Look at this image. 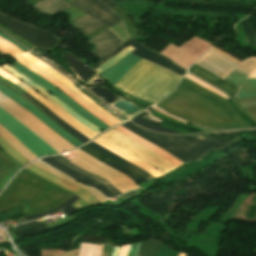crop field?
<instances>
[{
  "mask_svg": "<svg viewBox=\"0 0 256 256\" xmlns=\"http://www.w3.org/2000/svg\"><path fill=\"white\" fill-rule=\"evenodd\" d=\"M140 60L141 58H138L130 53L109 70L99 75L115 85V83Z\"/></svg>",
  "mask_w": 256,
  "mask_h": 256,
  "instance_id": "crop-field-17",
  "label": "crop field"
},
{
  "mask_svg": "<svg viewBox=\"0 0 256 256\" xmlns=\"http://www.w3.org/2000/svg\"><path fill=\"white\" fill-rule=\"evenodd\" d=\"M54 158L56 160H58L59 162H61L62 164H64V165H66V166H68V167H70V168H72V169H74V170H76V171H78V172H80V173H82V174H84V175H86V176H88V177H90V178L100 182L101 184L106 186L110 190V192L112 194H114V195L120 194V192L118 190H116L111 184H109L108 182L104 181L100 177H98V176H96L94 174H91V173H89V172H87V171H85V170H83V169H81V168L71 164L68 160H66V159H64V158H62L60 156H56Z\"/></svg>",
  "mask_w": 256,
  "mask_h": 256,
  "instance_id": "crop-field-31",
  "label": "crop field"
},
{
  "mask_svg": "<svg viewBox=\"0 0 256 256\" xmlns=\"http://www.w3.org/2000/svg\"><path fill=\"white\" fill-rule=\"evenodd\" d=\"M233 101L242 113L256 121V98L235 99Z\"/></svg>",
  "mask_w": 256,
  "mask_h": 256,
  "instance_id": "crop-field-29",
  "label": "crop field"
},
{
  "mask_svg": "<svg viewBox=\"0 0 256 256\" xmlns=\"http://www.w3.org/2000/svg\"><path fill=\"white\" fill-rule=\"evenodd\" d=\"M72 195L23 169L0 195V212L21 204L23 214L32 215L54 208Z\"/></svg>",
  "mask_w": 256,
  "mask_h": 256,
  "instance_id": "crop-field-2",
  "label": "crop field"
},
{
  "mask_svg": "<svg viewBox=\"0 0 256 256\" xmlns=\"http://www.w3.org/2000/svg\"><path fill=\"white\" fill-rule=\"evenodd\" d=\"M131 123V122H130ZM136 127V126H135ZM138 128V127H137ZM140 129V128H139ZM142 130V129H141ZM144 131V130H143ZM147 132V131H146ZM148 133H150V132H148ZM151 134H154V133H151ZM158 135V134H157Z\"/></svg>",
  "mask_w": 256,
  "mask_h": 256,
  "instance_id": "crop-field-54",
  "label": "crop field"
},
{
  "mask_svg": "<svg viewBox=\"0 0 256 256\" xmlns=\"http://www.w3.org/2000/svg\"><path fill=\"white\" fill-rule=\"evenodd\" d=\"M79 197H77V196H72L70 199H68L65 203H63V204H61L60 206H58V207H56V208H54V209H52V210H50V211H48V212H45V213H42V214H39V215H36V216H28V217H25V219H27V220H30V219H34V218H39V217H42V216H44V215H46V214H49V213H52V212H54V211H56V210H59L60 208H62L63 206L65 207V208H63V209H61V210H63L64 212H66L67 214H72V213H74L75 211H77L78 209H76V208H74V207H72V206H70L75 200H77ZM69 206H70V208H69ZM69 208V209H68Z\"/></svg>",
  "mask_w": 256,
  "mask_h": 256,
  "instance_id": "crop-field-36",
  "label": "crop field"
},
{
  "mask_svg": "<svg viewBox=\"0 0 256 256\" xmlns=\"http://www.w3.org/2000/svg\"><path fill=\"white\" fill-rule=\"evenodd\" d=\"M104 140L114 144L115 146L119 147L120 149L124 150L125 152L131 154L132 156L136 157L137 159L157 168L163 174L176 168L167 160L159 157L158 155L148 151L147 149L143 148L142 146L138 145L134 141L130 140L126 136L122 135L121 133L110 130L104 135L100 136Z\"/></svg>",
  "mask_w": 256,
  "mask_h": 256,
  "instance_id": "crop-field-7",
  "label": "crop field"
},
{
  "mask_svg": "<svg viewBox=\"0 0 256 256\" xmlns=\"http://www.w3.org/2000/svg\"><path fill=\"white\" fill-rule=\"evenodd\" d=\"M239 132H235V133H224V134H219V135H227V136H231V137H236L238 136Z\"/></svg>",
  "mask_w": 256,
  "mask_h": 256,
  "instance_id": "crop-field-51",
  "label": "crop field"
},
{
  "mask_svg": "<svg viewBox=\"0 0 256 256\" xmlns=\"http://www.w3.org/2000/svg\"><path fill=\"white\" fill-rule=\"evenodd\" d=\"M0 134L23 156H25L30 161L36 159L37 157L31 153L22 143H20L13 135L9 134L0 126Z\"/></svg>",
  "mask_w": 256,
  "mask_h": 256,
  "instance_id": "crop-field-30",
  "label": "crop field"
},
{
  "mask_svg": "<svg viewBox=\"0 0 256 256\" xmlns=\"http://www.w3.org/2000/svg\"><path fill=\"white\" fill-rule=\"evenodd\" d=\"M0 50L10 56H14L15 58H13V59L17 60L18 62L23 64L25 67L30 69L31 71L35 72L39 76L48 80L50 83H52L54 86H56L60 91H63L64 93H66L74 101H76L78 104H80L86 110H88L90 113H92L98 119H100L102 122L107 124L109 127L117 124L115 121L111 120L110 118L106 117L105 115L101 114L100 112L96 111L94 108L89 106L86 102H84L82 99H80L78 96H76L73 92H71L65 86L61 85L56 80L51 78L49 75H47L43 71L39 70L38 68L34 67L29 62L25 61L22 57H20L18 55L19 53H22V52L18 48H16L14 45H12L11 43H9L8 41H6L2 38H0Z\"/></svg>",
  "mask_w": 256,
  "mask_h": 256,
  "instance_id": "crop-field-9",
  "label": "crop field"
},
{
  "mask_svg": "<svg viewBox=\"0 0 256 256\" xmlns=\"http://www.w3.org/2000/svg\"><path fill=\"white\" fill-rule=\"evenodd\" d=\"M43 161H45L46 163H48L49 165H51L52 167H54L55 169L79 180L82 181L88 185H91L93 187H95L96 189H98L100 192H102L103 194H105L108 198L114 196L112 195L107 188L103 187L101 184L65 167L64 165H62L61 163H59L58 161H56L55 159H53L52 157H45L43 159H41Z\"/></svg>",
  "mask_w": 256,
  "mask_h": 256,
  "instance_id": "crop-field-19",
  "label": "crop field"
},
{
  "mask_svg": "<svg viewBox=\"0 0 256 256\" xmlns=\"http://www.w3.org/2000/svg\"><path fill=\"white\" fill-rule=\"evenodd\" d=\"M128 130L134 132L143 139L153 143L154 145L164 149L182 162H192L200 160L211 149L222 150L230 143L238 140H231L225 137H165L151 135L140 131L128 122L121 124Z\"/></svg>",
  "mask_w": 256,
  "mask_h": 256,
  "instance_id": "crop-field-4",
  "label": "crop field"
},
{
  "mask_svg": "<svg viewBox=\"0 0 256 256\" xmlns=\"http://www.w3.org/2000/svg\"><path fill=\"white\" fill-rule=\"evenodd\" d=\"M112 168H114L115 170L125 174L126 176H128L129 178H131L134 182L138 183V182H143V181H146L141 175L139 174H136L122 166H120L119 164L111 161V160H106L104 162H102Z\"/></svg>",
  "mask_w": 256,
  "mask_h": 256,
  "instance_id": "crop-field-35",
  "label": "crop field"
},
{
  "mask_svg": "<svg viewBox=\"0 0 256 256\" xmlns=\"http://www.w3.org/2000/svg\"><path fill=\"white\" fill-rule=\"evenodd\" d=\"M11 66L27 76L29 79L55 95L57 98H59L61 101H63L65 104H67L69 107H71L74 111H76L78 114H80L83 118H85L87 121L91 122L95 126L105 130L109 127H107L105 124L100 122L98 119L93 117L91 114L83 110L81 107L76 105L74 102H72L70 99H68L64 94H62L60 91H58L56 88H54L50 83H48L45 79L37 76L36 74L28 71L23 66H21L19 63L15 62L11 64Z\"/></svg>",
  "mask_w": 256,
  "mask_h": 256,
  "instance_id": "crop-field-10",
  "label": "crop field"
},
{
  "mask_svg": "<svg viewBox=\"0 0 256 256\" xmlns=\"http://www.w3.org/2000/svg\"><path fill=\"white\" fill-rule=\"evenodd\" d=\"M87 145L90 146L91 148L95 149L99 153L103 154L104 156L108 157L109 159H111V160L131 169V170H134V171L140 173L146 180L154 179L153 176H151L149 173H147V172L141 170L140 168H138L137 166L121 159L120 157L114 155L113 153L107 151L106 149L100 147L99 145H97L93 142H91Z\"/></svg>",
  "mask_w": 256,
  "mask_h": 256,
  "instance_id": "crop-field-26",
  "label": "crop field"
},
{
  "mask_svg": "<svg viewBox=\"0 0 256 256\" xmlns=\"http://www.w3.org/2000/svg\"><path fill=\"white\" fill-rule=\"evenodd\" d=\"M78 2H80L81 4H83L84 6L88 7L89 9H91L92 11L96 12L97 14H99L100 16L104 17L105 19L115 23V20L112 19L111 17H109L108 15H106L105 13H103L102 11H100L99 9H97L95 6H93L92 4H90L89 2H87L86 0H76Z\"/></svg>",
  "mask_w": 256,
  "mask_h": 256,
  "instance_id": "crop-field-43",
  "label": "crop field"
},
{
  "mask_svg": "<svg viewBox=\"0 0 256 256\" xmlns=\"http://www.w3.org/2000/svg\"><path fill=\"white\" fill-rule=\"evenodd\" d=\"M0 100L12 106L16 111H18L21 115H23L27 120H29L32 124H34L37 128H39L42 132H44L47 136L61 145L66 151L74 148L71 144L57 135L54 131H52L49 127H47L44 123L38 120L36 117L31 115L17 103L0 93Z\"/></svg>",
  "mask_w": 256,
  "mask_h": 256,
  "instance_id": "crop-field-14",
  "label": "crop field"
},
{
  "mask_svg": "<svg viewBox=\"0 0 256 256\" xmlns=\"http://www.w3.org/2000/svg\"><path fill=\"white\" fill-rule=\"evenodd\" d=\"M145 115H147V114L142 113V114L134 117L132 119V121L135 122L136 124L144 127V128H147V129L151 130V131L162 132V133H170V134L179 133L177 131H174V130H171V129H168V128L157 126V125L143 119L142 117L145 116Z\"/></svg>",
  "mask_w": 256,
  "mask_h": 256,
  "instance_id": "crop-field-34",
  "label": "crop field"
},
{
  "mask_svg": "<svg viewBox=\"0 0 256 256\" xmlns=\"http://www.w3.org/2000/svg\"><path fill=\"white\" fill-rule=\"evenodd\" d=\"M17 163L10 156L0 150V190L9 178L22 167Z\"/></svg>",
  "mask_w": 256,
  "mask_h": 256,
  "instance_id": "crop-field-24",
  "label": "crop field"
},
{
  "mask_svg": "<svg viewBox=\"0 0 256 256\" xmlns=\"http://www.w3.org/2000/svg\"><path fill=\"white\" fill-rule=\"evenodd\" d=\"M163 243L154 239L141 241L140 248L137 255L140 256H156Z\"/></svg>",
  "mask_w": 256,
  "mask_h": 256,
  "instance_id": "crop-field-32",
  "label": "crop field"
},
{
  "mask_svg": "<svg viewBox=\"0 0 256 256\" xmlns=\"http://www.w3.org/2000/svg\"><path fill=\"white\" fill-rule=\"evenodd\" d=\"M125 43H127L128 45L134 47L135 49L132 51V53L136 56H139L141 58H144L148 61H151L155 64H158L180 76L183 75V73L185 72V70H183L182 68L178 67L176 64H174L173 62L169 61L168 59L144 48L143 46H141L140 44H138L136 41H134L132 38L125 41Z\"/></svg>",
  "mask_w": 256,
  "mask_h": 256,
  "instance_id": "crop-field-15",
  "label": "crop field"
},
{
  "mask_svg": "<svg viewBox=\"0 0 256 256\" xmlns=\"http://www.w3.org/2000/svg\"><path fill=\"white\" fill-rule=\"evenodd\" d=\"M189 71L206 80L210 84L220 88L221 90L226 92L230 97H233L238 91V88L229 83L227 80H222L195 64L190 68Z\"/></svg>",
  "mask_w": 256,
  "mask_h": 256,
  "instance_id": "crop-field-20",
  "label": "crop field"
},
{
  "mask_svg": "<svg viewBox=\"0 0 256 256\" xmlns=\"http://www.w3.org/2000/svg\"><path fill=\"white\" fill-rule=\"evenodd\" d=\"M195 64L215 74L220 78H225L233 69L249 75L247 78H256V58L245 59L242 63L228 54L211 46L209 51L201 57Z\"/></svg>",
  "mask_w": 256,
  "mask_h": 256,
  "instance_id": "crop-field-5",
  "label": "crop field"
},
{
  "mask_svg": "<svg viewBox=\"0 0 256 256\" xmlns=\"http://www.w3.org/2000/svg\"><path fill=\"white\" fill-rule=\"evenodd\" d=\"M0 146L13 158L19 161L21 164L24 165L30 162L26 158H24L21 154H19L13 147H11L1 136H0Z\"/></svg>",
  "mask_w": 256,
  "mask_h": 256,
  "instance_id": "crop-field-39",
  "label": "crop field"
},
{
  "mask_svg": "<svg viewBox=\"0 0 256 256\" xmlns=\"http://www.w3.org/2000/svg\"><path fill=\"white\" fill-rule=\"evenodd\" d=\"M185 77L188 78L189 80L195 82L196 84H198V85H200V86H202V87H204V88H206V89H208V90H210V91H212V92H214V93H216V94H218V95L228 99L223 93H221L218 90H216L215 88L209 86L208 84H206L205 82H203L200 79L196 78L195 76L187 73V75Z\"/></svg>",
  "mask_w": 256,
  "mask_h": 256,
  "instance_id": "crop-field-41",
  "label": "crop field"
},
{
  "mask_svg": "<svg viewBox=\"0 0 256 256\" xmlns=\"http://www.w3.org/2000/svg\"><path fill=\"white\" fill-rule=\"evenodd\" d=\"M102 246L95 245V244L81 243L79 256H100Z\"/></svg>",
  "mask_w": 256,
  "mask_h": 256,
  "instance_id": "crop-field-38",
  "label": "crop field"
},
{
  "mask_svg": "<svg viewBox=\"0 0 256 256\" xmlns=\"http://www.w3.org/2000/svg\"><path fill=\"white\" fill-rule=\"evenodd\" d=\"M24 98H26L29 102H31L35 107H37L39 110H41L44 114H46L50 119H52L54 122H56L58 125H60L62 128H64L68 133H70L72 136H74L76 139H78L80 142L84 143L90 139L82 135L80 132L72 128L70 125L65 123L63 120H61L59 117H57L54 113H52L49 109H47L44 105H42L40 102L35 100L33 97H31L29 94L25 93L23 95Z\"/></svg>",
  "mask_w": 256,
  "mask_h": 256,
  "instance_id": "crop-field-21",
  "label": "crop field"
},
{
  "mask_svg": "<svg viewBox=\"0 0 256 256\" xmlns=\"http://www.w3.org/2000/svg\"><path fill=\"white\" fill-rule=\"evenodd\" d=\"M0 125L9 133L13 134L19 141H21L29 150H31L38 157L56 154L50 146H48L39 137L33 134L20 122L14 119L11 115L0 108ZM20 142V143H21Z\"/></svg>",
  "mask_w": 256,
  "mask_h": 256,
  "instance_id": "crop-field-8",
  "label": "crop field"
},
{
  "mask_svg": "<svg viewBox=\"0 0 256 256\" xmlns=\"http://www.w3.org/2000/svg\"><path fill=\"white\" fill-rule=\"evenodd\" d=\"M72 152L77 154L79 157L70 160L71 163L104 178L121 193L138 188V185L125 175L102 164L82 151L76 149Z\"/></svg>",
  "mask_w": 256,
  "mask_h": 256,
  "instance_id": "crop-field-6",
  "label": "crop field"
},
{
  "mask_svg": "<svg viewBox=\"0 0 256 256\" xmlns=\"http://www.w3.org/2000/svg\"><path fill=\"white\" fill-rule=\"evenodd\" d=\"M70 6L61 0H44L41 3L33 6V8L45 14H57Z\"/></svg>",
  "mask_w": 256,
  "mask_h": 256,
  "instance_id": "crop-field-27",
  "label": "crop field"
},
{
  "mask_svg": "<svg viewBox=\"0 0 256 256\" xmlns=\"http://www.w3.org/2000/svg\"><path fill=\"white\" fill-rule=\"evenodd\" d=\"M36 223H37L36 221H34V222H30V223H24V224H22V225H20V226H17V227H16V229L25 228V227H28V226L34 225V224H36Z\"/></svg>",
  "mask_w": 256,
  "mask_h": 256,
  "instance_id": "crop-field-50",
  "label": "crop field"
},
{
  "mask_svg": "<svg viewBox=\"0 0 256 256\" xmlns=\"http://www.w3.org/2000/svg\"><path fill=\"white\" fill-rule=\"evenodd\" d=\"M72 25L82 30L81 33L86 36L103 24L86 15Z\"/></svg>",
  "mask_w": 256,
  "mask_h": 256,
  "instance_id": "crop-field-33",
  "label": "crop field"
},
{
  "mask_svg": "<svg viewBox=\"0 0 256 256\" xmlns=\"http://www.w3.org/2000/svg\"><path fill=\"white\" fill-rule=\"evenodd\" d=\"M70 221L71 220H69V221H67V222H65L63 224L56 225V226H51V227H48L45 223L38 224V225L32 226L29 229H23V230H20V231H15L14 233L16 234V236L18 238H20V237H23V236H26V235H29V234H32V233L42 232V231H46V230H49V229L61 227V226L65 225V224H67Z\"/></svg>",
  "mask_w": 256,
  "mask_h": 256,
  "instance_id": "crop-field-37",
  "label": "crop field"
},
{
  "mask_svg": "<svg viewBox=\"0 0 256 256\" xmlns=\"http://www.w3.org/2000/svg\"><path fill=\"white\" fill-rule=\"evenodd\" d=\"M129 246L130 245H124L121 247V250H120V253L118 256H126L127 255V252L129 250Z\"/></svg>",
  "mask_w": 256,
  "mask_h": 256,
  "instance_id": "crop-field-48",
  "label": "crop field"
},
{
  "mask_svg": "<svg viewBox=\"0 0 256 256\" xmlns=\"http://www.w3.org/2000/svg\"><path fill=\"white\" fill-rule=\"evenodd\" d=\"M0 92L20 104L22 107L27 109L29 112H31L33 115H35L37 118H39L42 122H44L47 126H49L52 130H54L57 134H59L61 137H63L65 140H67L69 143H71L73 146L77 147L80 143L78 140H76L74 137H72L70 134H68L64 129H62L60 126H58L56 123H54L52 120H50L47 116H45L42 112H40L37 108H35L33 105L28 103L24 98L17 95L16 93L12 92L8 88L4 87L0 84Z\"/></svg>",
  "mask_w": 256,
  "mask_h": 256,
  "instance_id": "crop-field-11",
  "label": "crop field"
},
{
  "mask_svg": "<svg viewBox=\"0 0 256 256\" xmlns=\"http://www.w3.org/2000/svg\"><path fill=\"white\" fill-rule=\"evenodd\" d=\"M87 43H93L95 47L98 49L93 51L92 55L97 57L98 59L124 43L112 30L109 28L88 41Z\"/></svg>",
  "mask_w": 256,
  "mask_h": 256,
  "instance_id": "crop-field-16",
  "label": "crop field"
},
{
  "mask_svg": "<svg viewBox=\"0 0 256 256\" xmlns=\"http://www.w3.org/2000/svg\"><path fill=\"white\" fill-rule=\"evenodd\" d=\"M0 37L10 41L11 43L15 44L18 48H20L23 52L27 51L26 49H24L23 47L19 46L18 44H16L14 41H12L10 38H8L7 36L3 35L2 33H0Z\"/></svg>",
  "mask_w": 256,
  "mask_h": 256,
  "instance_id": "crop-field-49",
  "label": "crop field"
},
{
  "mask_svg": "<svg viewBox=\"0 0 256 256\" xmlns=\"http://www.w3.org/2000/svg\"><path fill=\"white\" fill-rule=\"evenodd\" d=\"M187 256V255H186Z\"/></svg>",
  "mask_w": 256,
  "mask_h": 256,
  "instance_id": "crop-field-56",
  "label": "crop field"
},
{
  "mask_svg": "<svg viewBox=\"0 0 256 256\" xmlns=\"http://www.w3.org/2000/svg\"><path fill=\"white\" fill-rule=\"evenodd\" d=\"M116 130H118L119 132H121L122 134L126 135L127 137H129L130 139L134 140L135 142H137L138 144L146 147L147 149L157 153L158 155L166 158L169 162H171L173 165H175L176 167L184 164L180 161H178L176 158L172 157L171 155L167 154L166 152L162 151L161 149H159L158 147L146 142L145 140L141 139L140 137L134 135L133 133H131L130 131H128L127 129L119 126L114 128Z\"/></svg>",
  "mask_w": 256,
  "mask_h": 256,
  "instance_id": "crop-field-25",
  "label": "crop field"
},
{
  "mask_svg": "<svg viewBox=\"0 0 256 256\" xmlns=\"http://www.w3.org/2000/svg\"><path fill=\"white\" fill-rule=\"evenodd\" d=\"M32 164L36 165L37 167H39V168H41V169H43V170H45V171H47V172H49V173H51V174L57 176V177H59V178H62V179H64V180H66V181H68V182H70V183H72V184H74V185H76V186H78V187L84 189L85 191H87L88 193H90L91 195H93L100 203L107 201V199H105L103 196H101L96 190H94V189H92V188H89V187L82 186V185H80V184L74 182V181L71 180L70 178H68V177H66V176H64V175H62V174H60V173L57 172L56 170H54V169H52V168H50V167H48V166H46V165H44V164L38 162V161H36V162H34V163H32Z\"/></svg>",
  "mask_w": 256,
  "mask_h": 256,
  "instance_id": "crop-field-28",
  "label": "crop field"
},
{
  "mask_svg": "<svg viewBox=\"0 0 256 256\" xmlns=\"http://www.w3.org/2000/svg\"><path fill=\"white\" fill-rule=\"evenodd\" d=\"M79 149L83 150L84 152L88 153L89 155H91L92 157L96 158L97 160H99L101 162L108 159L86 145Z\"/></svg>",
  "mask_w": 256,
  "mask_h": 256,
  "instance_id": "crop-field-46",
  "label": "crop field"
},
{
  "mask_svg": "<svg viewBox=\"0 0 256 256\" xmlns=\"http://www.w3.org/2000/svg\"><path fill=\"white\" fill-rule=\"evenodd\" d=\"M247 75L239 73L233 70L225 79L230 81L232 84L239 88H248L249 89H240L235 98H244V97H253L256 96V79H244Z\"/></svg>",
  "mask_w": 256,
  "mask_h": 256,
  "instance_id": "crop-field-18",
  "label": "crop field"
},
{
  "mask_svg": "<svg viewBox=\"0 0 256 256\" xmlns=\"http://www.w3.org/2000/svg\"><path fill=\"white\" fill-rule=\"evenodd\" d=\"M0 107L11 114L14 118L20 121L23 125H25L28 129L34 132L37 136H39L42 140H44L48 145H50L54 150L58 153L65 152V150L60 147L57 143L47 137L44 133H42L39 129H37L34 125H32L29 121H27L24 117H22L18 112H16L9 105L0 101Z\"/></svg>",
  "mask_w": 256,
  "mask_h": 256,
  "instance_id": "crop-field-22",
  "label": "crop field"
},
{
  "mask_svg": "<svg viewBox=\"0 0 256 256\" xmlns=\"http://www.w3.org/2000/svg\"><path fill=\"white\" fill-rule=\"evenodd\" d=\"M179 256H185L184 254H182V253H180V255Z\"/></svg>",
  "mask_w": 256,
  "mask_h": 256,
  "instance_id": "crop-field-55",
  "label": "crop field"
},
{
  "mask_svg": "<svg viewBox=\"0 0 256 256\" xmlns=\"http://www.w3.org/2000/svg\"><path fill=\"white\" fill-rule=\"evenodd\" d=\"M139 243L140 242L134 243V244L131 245L129 253H128L127 256H136L137 251H138V247H139Z\"/></svg>",
  "mask_w": 256,
  "mask_h": 256,
  "instance_id": "crop-field-47",
  "label": "crop field"
},
{
  "mask_svg": "<svg viewBox=\"0 0 256 256\" xmlns=\"http://www.w3.org/2000/svg\"><path fill=\"white\" fill-rule=\"evenodd\" d=\"M74 6H76L78 9H80L81 11L87 13L88 15H90L91 17L95 18L96 20H98L99 22L103 23L106 26H111L113 24H111L110 22H108L107 20H105L104 18L100 17L99 15H97L96 13L92 12L91 10H89L88 8L84 7L83 5H81L78 2H74L72 3ZM71 4V5H72Z\"/></svg>",
  "mask_w": 256,
  "mask_h": 256,
  "instance_id": "crop-field-40",
  "label": "crop field"
},
{
  "mask_svg": "<svg viewBox=\"0 0 256 256\" xmlns=\"http://www.w3.org/2000/svg\"><path fill=\"white\" fill-rule=\"evenodd\" d=\"M35 53L37 55H39L41 58H43L44 60H46L47 62H49L50 64H52L53 66H55L56 68H58L59 70H61L62 72H64L65 74H67L68 76H70L71 78L74 79V77L72 76V74L70 72H68L66 69H64L62 66H60L58 63H56L54 60H52L47 55H45L42 52H35Z\"/></svg>",
  "mask_w": 256,
  "mask_h": 256,
  "instance_id": "crop-field-42",
  "label": "crop field"
},
{
  "mask_svg": "<svg viewBox=\"0 0 256 256\" xmlns=\"http://www.w3.org/2000/svg\"><path fill=\"white\" fill-rule=\"evenodd\" d=\"M157 105L196 125L220 129L251 128L239 118L226 99L185 78L167 99Z\"/></svg>",
  "mask_w": 256,
  "mask_h": 256,
  "instance_id": "crop-field-1",
  "label": "crop field"
},
{
  "mask_svg": "<svg viewBox=\"0 0 256 256\" xmlns=\"http://www.w3.org/2000/svg\"><path fill=\"white\" fill-rule=\"evenodd\" d=\"M93 142L105 147L106 149L110 150L111 152L125 158L126 160H128L129 162L139 166L140 168L144 169L145 171L149 172L150 174H152L155 178L162 175L161 173H159L157 170H155L154 168L144 164L143 162L135 159L134 157L130 156L129 154L119 150L117 147L111 145L110 143L104 141L101 138H97L95 139Z\"/></svg>",
  "mask_w": 256,
  "mask_h": 256,
  "instance_id": "crop-field-23",
  "label": "crop field"
},
{
  "mask_svg": "<svg viewBox=\"0 0 256 256\" xmlns=\"http://www.w3.org/2000/svg\"><path fill=\"white\" fill-rule=\"evenodd\" d=\"M101 1H103L104 3H106L110 8L113 7L114 5H116V4L112 3V2L109 1V0H101Z\"/></svg>",
  "mask_w": 256,
  "mask_h": 256,
  "instance_id": "crop-field-52",
  "label": "crop field"
},
{
  "mask_svg": "<svg viewBox=\"0 0 256 256\" xmlns=\"http://www.w3.org/2000/svg\"><path fill=\"white\" fill-rule=\"evenodd\" d=\"M20 56H22L24 59L28 60L29 62H31L35 66H37L40 69H42L44 72L49 74L51 77H53L54 79L58 80L61 84H63L66 87H68L76 95H78L80 98L85 100L88 104L93 106L96 110L100 111L101 113L105 114L106 116L110 117L111 119L115 120L116 122L120 123V121L117 120L115 117H113L112 115H110L109 113H107L106 111L101 109L97 104L93 103L88 98H86L84 95H82L80 92H78L76 90V88L72 85V83L69 80L64 78L62 75H60L54 69H52L51 67L47 66L45 63L41 62L40 60L34 58L33 56L29 55L28 52L22 53V54H20Z\"/></svg>",
  "mask_w": 256,
  "mask_h": 256,
  "instance_id": "crop-field-13",
  "label": "crop field"
},
{
  "mask_svg": "<svg viewBox=\"0 0 256 256\" xmlns=\"http://www.w3.org/2000/svg\"><path fill=\"white\" fill-rule=\"evenodd\" d=\"M88 1L93 5H95L96 7H98L103 12H105L106 14H108L109 16H111L112 18H114L116 22L119 21V19L115 16V14L98 0H88Z\"/></svg>",
  "mask_w": 256,
  "mask_h": 256,
  "instance_id": "crop-field-44",
  "label": "crop field"
},
{
  "mask_svg": "<svg viewBox=\"0 0 256 256\" xmlns=\"http://www.w3.org/2000/svg\"><path fill=\"white\" fill-rule=\"evenodd\" d=\"M128 45H126L125 43L122 44L121 46H119L118 48H116L115 50H113L111 53H109L107 56H105L103 59H101L100 61H98L96 64H94L92 67H94L95 69L100 66L103 62H105L106 60L110 59L111 57H113L114 55H116L118 52H120L121 50H123L125 47H127Z\"/></svg>",
  "mask_w": 256,
  "mask_h": 256,
  "instance_id": "crop-field-45",
  "label": "crop field"
},
{
  "mask_svg": "<svg viewBox=\"0 0 256 256\" xmlns=\"http://www.w3.org/2000/svg\"><path fill=\"white\" fill-rule=\"evenodd\" d=\"M180 78V76L142 59L115 86L154 104L169 94Z\"/></svg>",
  "mask_w": 256,
  "mask_h": 256,
  "instance_id": "crop-field-3",
  "label": "crop field"
},
{
  "mask_svg": "<svg viewBox=\"0 0 256 256\" xmlns=\"http://www.w3.org/2000/svg\"><path fill=\"white\" fill-rule=\"evenodd\" d=\"M27 1L34 5L42 0H27Z\"/></svg>",
  "mask_w": 256,
  "mask_h": 256,
  "instance_id": "crop-field-53",
  "label": "crop field"
},
{
  "mask_svg": "<svg viewBox=\"0 0 256 256\" xmlns=\"http://www.w3.org/2000/svg\"><path fill=\"white\" fill-rule=\"evenodd\" d=\"M47 180H49L50 182L74 193L75 195L79 196L80 198L72 204V206L80 209L82 207H85L89 204H95L96 202H98L95 198H93L90 194H88L87 192H85L84 190L66 182V181H63L51 174H48L44 171H42L41 169L37 168L36 166L34 165H29L27 168H25Z\"/></svg>",
  "mask_w": 256,
  "mask_h": 256,
  "instance_id": "crop-field-12",
  "label": "crop field"
}]
</instances>
